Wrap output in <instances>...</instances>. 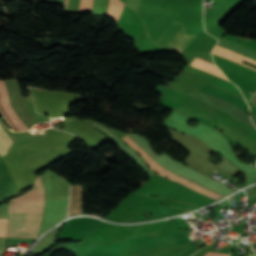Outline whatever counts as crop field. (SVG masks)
Returning a JSON list of instances; mask_svg holds the SVG:
<instances>
[{"label":"crop field","mask_w":256,"mask_h":256,"mask_svg":"<svg viewBox=\"0 0 256 256\" xmlns=\"http://www.w3.org/2000/svg\"><path fill=\"white\" fill-rule=\"evenodd\" d=\"M68 199H46L44 218L39 233H43L66 218Z\"/></svg>","instance_id":"crop-field-4"},{"label":"crop field","mask_w":256,"mask_h":256,"mask_svg":"<svg viewBox=\"0 0 256 256\" xmlns=\"http://www.w3.org/2000/svg\"><path fill=\"white\" fill-rule=\"evenodd\" d=\"M179 231H171V232H157V233H148V234H137L132 237H128L125 239L117 240V241H108V242H99L93 243L91 245H87L83 248L86 256H94L100 253H104L149 237L154 236H162L169 234H177Z\"/></svg>","instance_id":"crop-field-3"},{"label":"crop field","mask_w":256,"mask_h":256,"mask_svg":"<svg viewBox=\"0 0 256 256\" xmlns=\"http://www.w3.org/2000/svg\"><path fill=\"white\" fill-rule=\"evenodd\" d=\"M192 66L197 67L199 69H202L204 71H207L209 73H212L214 75H217L225 80H227L224 75L221 73V71L214 65L207 63L205 61H202L198 58L193 62ZM228 81V80H227Z\"/></svg>","instance_id":"crop-field-7"},{"label":"crop field","mask_w":256,"mask_h":256,"mask_svg":"<svg viewBox=\"0 0 256 256\" xmlns=\"http://www.w3.org/2000/svg\"><path fill=\"white\" fill-rule=\"evenodd\" d=\"M204 256H229V255L207 252Z\"/></svg>","instance_id":"crop-field-12"},{"label":"crop field","mask_w":256,"mask_h":256,"mask_svg":"<svg viewBox=\"0 0 256 256\" xmlns=\"http://www.w3.org/2000/svg\"><path fill=\"white\" fill-rule=\"evenodd\" d=\"M82 213V185H71V201L68 216Z\"/></svg>","instance_id":"crop-field-6"},{"label":"crop field","mask_w":256,"mask_h":256,"mask_svg":"<svg viewBox=\"0 0 256 256\" xmlns=\"http://www.w3.org/2000/svg\"><path fill=\"white\" fill-rule=\"evenodd\" d=\"M124 4L119 0H110L107 15L109 18L117 21Z\"/></svg>","instance_id":"crop-field-8"},{"label":"crop field","mask_w":256,"mask_h":256,"mask_svg":"<svg viewBox=\"0 0 256 256\" xmlns=\"http://www.w3.org/2000/svg\"><path fill=\"white\" fill-rule=\"evenodd\" d=\"M193 36L185 34L183 23L173 20L154 43L167 49L181 52Z\"/></svg>","instance_id":"crop-field-2"},{"label":"crop field","mask_w":256,"mask_h":256,"mask_svg":"<svg viewBox=\"0 0 256 256\" xmlns=\"http://www.w3.org/2000/svg\"><path fill=\"white\" fill-rule=\"evenodd\" d=\"M53 1H56L65 5L66 0H53ZM68 2L69 0H67L66 2V10L68 7ZM91 8H92V0H80L78 11H91Z\"/></svg>","instance_id":"crop-field-10"},{"label":"crop field","mask_w":256,"mask_h":256,"mask_svg":"<svg viewBox=\"0 0 256 256\" xmlns=\"http://www.w3.org/2000/svg\"><path fill=\"white\" fill-rule=\"evenodd\" d=\"M13 141L0 126V156L4 155Z\"/></svg>","instance_id":"crop-field-9"},{"label":"crop field","mask_w":256,"mask_h":256,"mask_svg":"<svg viewBox=\"0 0 256 256\" xmlns=\"http://www.w3.org/2000/svg\"><path fill=\"white\" fill-rule=\"evenodd\" d=\"M250 256V255H249Z\"/></svg>","instance_id":"crop-field-13"},{"label":"crop field","mask_w":256,"mask_h":256,"mask_svg":"<svg viewBox=\"0 0 256 256\" xmlns=\"http://www.w3.org/2000/svg\"><path fill=\"white\" fill-rule=\"evenodd\" d=\"M0 113L14 131L27 129L10 106L4 80H0Z\"/></svg>","instance_id":"crop-field-5"},{"label":"crop field","mask_w":256,"mask_h":256,"mask_svg":"<svg viewBox=\"0 0 256 256\" xmlns=\"http://www.w3.org/2000/svg\"><path fill=\"white\" fill-rule=\"evenodd\" d=\"M10 212L9 238L35 239L44 209V185L38 176L34 188L8 204Z\"/></svg>","instance_id":"crop-field-1"},{"label":"crop field","mask_w":256,"mask_h":256,"mask_svg":"<svg viewBox=\"0 0 256 256\" xmlns=\"http://www.w3.org/2000/svg\"><path fill=\"white\" fill-rule=\"evenodd\" d=\"M8 219H0V236H5L7 231Z\"/></svg>","instance_id":"crop-field-11"}]
</instances>
